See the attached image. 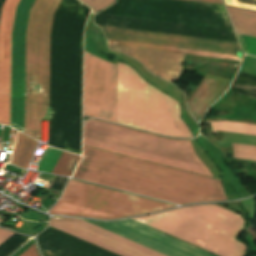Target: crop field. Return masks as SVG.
<instances>
[{
  "instance_id": "obj_1",
  "label": "crop field",
  "mask_w": 256,
  "mask_h": 256,
  "mask_svg": "<svg viewBox=\"0 0 256 256\" xmlns=\"http://www.w3.org/2000/svg\"><path fill=\"white\" fill-rule=\"evenodd\" d=\"M73 178L176 204L227 200L219 180L84 146Z\"/></svg>"
},
{
  "instance_id": "obj_2",
  "label": "crop field",
  "mask_w": 256,
  "mask_h": 256,
  "mask_svg": "<svg viewBox=\"0 0 256 256\" xmlns=\"http://www.w3.org/2000/svg\"><path fill=\"white\" fill-rule=\"evenodd\" d=\"M219 256H245L236 241L244 223L240 216L214 205L190 206L132 218Z\"/></svg>"
},
{
  "instance_id": "obj_3",
  "label": "crop field",
  "mask_w": 256,
  "mask_h": 256,
  "mask_svg": "<svg viewBox=\"0 0 256 256\" xmlns=\"http://www.w3.org/2000/svg\"><path fill=\"white\" fill-rule=\"evenodd\" d=\"M179 103L117 62L116 123L172 137L192 138Z\"/></svg>"
},
{
  "instance_id": "obj_4",
  "label": "crop field",
  "mask_w": 256,
  "mask_h": 256,
  "mask_svg": "<svg viewBox=\"0 0 256 256\" xmlns=\"http://www.w3.org/2000/svg\"><path fill=\"white\" fill-rule=\"evenodd\" d=\"M84 145L213 177L190 141L166 139L94 120L84 123Z\"/></svg>"
},
{
  "instance_id": "obj_5",
  "label": "crop field",
  "mask_w": 256,
  "mask_h": 256,
  "mask_svg": "<svg viewBox=\"0 0 256 256\" xmlns=\"http://www.w3.org/2000/svg\"><path fill=\"white\" fill-rule=\"evenodd\" d=\"M60 0H36L26 32L25 132L40 139L48 120L50 33Z\"/></svg>"
},
{
  "instance_id": "obj_6",
  "label": "crop field",
  "mask_w": 256,
  "mask_h": 256,
  "mask_svg": "<svg viewBox=\"0 0 256 256\" xmlns=\"http://www.w3.org/2000/svg\"><path fill=\"white\" fill-rule=\"evenodd\" d=\"M174 206L70 180L52 214L114 219Z\"/></svg>"
},
{
  "instance_id": "obj_7",
  "label": "crop field",
  "mask_w": 256,
  "mask_h": 256,
  "mask_svg": "<svg viewBox=\"0 0 256 256\" xmlns=\"http://www.w3.org/2000/svg\"><path fill=\"white\" fill-rule=\"evenodd\" d=\"M116 66L85 51L84 114L115 123Z\"/></svg>"
},
{
  "instance_id": "obj_8",
  "label": "crop field",
  "mask_w": 256,
  "mask_h": 256,
  "mask_svg": "<svg viewBox=\"0 0 256 256\" xmlns=\"http://www.w3.org/2000/svg\"><path fill=\"white\" fill-rule=\"evenodd\" d=\"M108 44L240 61L236 56L107 39ZM108 45L112 51L134 57L151 73L173 82L181 74L185 55Z\"/></svg>"
},
{
  "instance_id": "obj_9",
  "label": "crop field",
  "mask_w": 256,
  "mask_h": 256,
  "mask_svg": "<svg viewBox=\"0 0 256 256\" xmlns=\"http://www.w3.org/2000/svg\"><path fill=\"white\" fill-rule=\"evenodd\" d=\"M86 222L168 256H214L130 219L118 222Z\"/></svg>"
},
{
  "instance_id": "obj_10",
  "label": "crop field",
  "mask_w": 256,
  "mask_h": 256,
  "mask_svg": "<svg viewBox=\"0 0 256 256\" xmlns=\"http://www.w3.org/2000/svg\"><path fill=\"white\" fill-rule=\"evenodd\" d=\"M49 225L121 256H164L82 220L52 217Z\"/></svg>"
},
{
  "instance_id": "obj_11",
  "label": "crop field",
  "mask_w": 256,
  "mask_h": 256,
  "mask_svg": "<svg viewBox=\"0 0 256 256\" xmlns=\"http://www.w3.org/2000/svg\"><path fill=\"white\" fill-rule=\"evenodd\" d=\"M34 0H21L12 32L11 126L23 131L24 32Z\"/></svg>"
},
{
  "instance_id": "obj_12",
  "label": "crop field",
  "mask_w": 256,
  "mask_h": 256,
  "mask_svg": "<svg viewBox=\"0 0 256 256\" xmlns=\"http://www.w3.org/2000/svg\"><path fill=\"white\" fill-rule=\"evenodd\" d=\"M106 38L233 54L239 44L102 27ZM234 55V54H233Z\"/></svg>"
},
{
  "instance_id": "obj_13",
  "label": "crop field",
  "mask_w": 256,
  "mask_h": 256,
  "mask_svg": "<svg viewBox=\"0 0 256 256\" xmlns=\"http://www.w3.org/2000/svg\"><path fill=\"white\" fill-rule=\"evenodd\" d=\"M20 0H5L0 19V123L10 125L11 32Z\"/></svg>"
},
{
  "instance_id": "obj_14",
  "label": "crop field",
  "mask_w": 256,
  "mask_h": 256,
  "mask_svg": "<svg viewBox=\"0 0 256 256\" xmlns=\"http://www.w3.org/2000/svg\"><path fill=\"white\" fill-rule=\"evenodd\" d=\"M230 82V79L206 74L187 103V107L195 119L203 115L208 107L225 92Z\"/></svg>"
},
{
  "instance_id": "obj_15",
  "label": "crop field",
  "mask_w": 256,
  "mask_h": 256,
  "mask_svg": "<svg viewBox=\"0 0 256 256\" xmlns=\"http://www.w3.org/2000/svg\"><path fill=\"white\" fill-rule=\"evenodd\" d=\"M211 108L233 113L205 121L230 120L256 124V99L225 93Z\"/></svg>"
},
{
  "instance_id": "obj_16",
  "label": "crop field",
  "mask_w": 256,
  "mask_h": 256,
  "mask_svg": "<svg viewBox=\"0 0 256 256\" xmlns=\"http://www.w3.org/2000/svg\"><path fill=\"white\" fill-rule=\"evenodd\" d=\"M225 7L237 33L256 37V12Z\"/></svg>"
},
{
  "instance_id": "obj_17",
  "label": "crop field",
  "mask_w": 256,
  "mask_h": 256,
  "mask_svg": "<svg viewBox=\"0 0 256 256\" xmlns=\"http://www.w3.org/2000/svg\"><path fill=\"white\" fill-rule=\"evenodd\" d=\"M36 143L37 141L19 132L11 163L27 169Z\"/></svg>"
},
{
  "instance_id": "obj_18",
  "label": "crop field",
  "mask_w": 256,
  "mask_h": 256,
  "mask_svg": "<svg viewBox=\"0 0 256 256\" xmlns=\"http://www.w3.org/2000/svg\"><path fill=\"white\" fill-rule=\"evenodd\" d=\"M216 130L256 135V125L223 121L212 123Z\"/></svg>"
},
{
  "instance_id": "obj_19",
  "label": "crop field",
  "mask_w": 256,
  "mask_h": 256,
  "mask_svg": "<svg viewBox=\"0 0 256 256\" xmlns=\"http://www.w3.org/2000/svg\"><path fill=\"white\" fill-rule=\"evenodd\" d=\"M77 159H78V156L63 152L62 156L60 157L52 173L68 177Z\"/></svg>"
},
{
  "instance_id": "obj_20",
  "label": "crop field",
  "mask_w": 256,
  "mask_h": 256,
  "mask_svg": "<svg viewBox=\"0 0 256 256\" xmlns=\"http://www.w3.org/2000/svg\"><path fill=\"white\" fill-rule=\"evenodd\" d=\"M234 145L233 157L256 160V147L245 145Z\"/></svg>"
},
{
  "instance_id": "obj_21",
  "label": "crop field",
  "mask_w": 256,
  "mask_h": 256,
  "mask_svg": "<svg viewBox=\"0 0 256 256\" xmlns=\"http://www.w3.org/2000/svg\"><path fill=\"white\" fill-rule=\"evenodd\" d=\"M238 39L245 53L256 55V38L239 35Z\"/></svg>"
},
{
  "instance_id": "obj_22",
  "label": "crop field",
  "mask_w": 256,
  "mask_h": 256,
  "mask_svg": "<svg viewBox=\"0 0 256 256\" xmlns=\"http://www.w3.org/2000/svg\"><path fill=\"white\" fill-rule=\"evenodd\" d=\"M13 232H9L3 229H0V244L6 240L10 235H12ZM11 237V236H10ZM5 242V241H4Z\"/></svg>"
},
{
  "instance_id": "obj_23",
  "label": "crop field",
  "mask_w": 256,
  "mask_h": 256,
  "mask_svg": "<svg viewBox=\"0 0 256 256\" xmlns=\"http://www.w3.org/2000/svg\"><path fill=\"white\" fill-rule=\"evenodd\" d=\"M20 256H38L37 253H36L35 245L31 246L28 250H26Z\"/></svg>"
},
{
  "instance_id": "obj_24",
  "label": "crop field",
  "mask_w": 256,
  "mask_h": 256,
  "mask_svg": "<svg viewBox=\"0 0 256 256\" xmlns=\"http://www.w3.org/2000/svg\"><path fill=\"white\" fill-rule=\"evenodd\" d=\"M189 1H197V2H204V3H212V4L223 5L221 0H189Z\"/></svg>"
}]
</instances>
